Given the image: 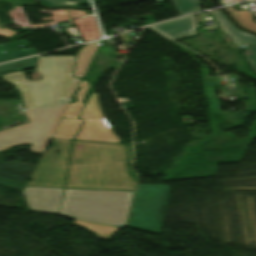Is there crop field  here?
Listing matches in <instances>:
<instances>
[{
	"instance_id": "11",
	"label": "crop field",
	"mask_w": 256,
	"mask_h": 256,
	"mask_svg": "<svg viewBox=\"0 0 256 256\" xmlns=\"http://www.w3.org/2000/svg\"><path fill=\"white\" fill-rule=\"evenodd\" d=\"M100 42L85 45L78 53L75 76L82 78Z\"/></svg>"
},
{
	"instance_id": "14",
	"label": "crop field",
	"mask_w": 256,
	"mask_h": 256,
	"mask_svg": "<svg viewBox=\"0 0 256 256\" xmlns=\"http://www.w3.org/2000/svg\"><path fill=\"white\" fill-rule=\"evenodd\" d=\"M76 225H82L87 229L96 232L100 238L108 240L111 235L120 227L102 225L74 219ZM97 235V236H98Z\"/></svg>"
},
{
	"instance_id": "21",
	"label": "crop field",
	"mask_w": 256,
	"mask_h": 256,
	"mask_svg": "<svg viewBox=\"0 0 256 256\" xmlns=\"http://www.w3.org/2000/svg\"><path fill=\"white\" fill-rule=\"evenodd\" d=\"M66 10L71 19L86 15L85 11H78V10H73V9H66Z\"/></svg>"
},
{
	"instance_id": "2",
	"label": "crop field",
	"mask_w": 256,
	"mask_h": 256,
	"mask_svg": "<svg viewBox=\"0 0 256 256\" xmlns=\"http://www.w3.org/2000/svg\"><path fill=\"white\" fill-rule=\"evenodd\" d=\"M75 56L39 57V81L26 80L23 72L3 75L21 92L25 108L72 98L81 79L72 77ZM23 102V103H24Z\"/></svg>"
},
{
	"instance_id": "13",
	"label": "crop field",
	"mask_w": 256,
	"mask_h": 256,
	"mask_svg": "<svg viewBox=\"0 0 256 256\" xmlns=\"http://www.w3.org/2000/svg\"><path fill=\"white\" fill-rule=\"evenodd\" d=\"M79 87H80V89H79L78 96H77L78 100L76 101V103H72V104L68 105L62 118L76 119L79 112L81 111V109L84 105L81 102L89 88V84H88V82L82 80Z\"/></svg>"
},
{
	"instance_id": "19",
	"label": "crop field",
	"mask_w": 256,
	"mask_h": 256,
	"mask_svg": "<svg viewBox=\"0 0 256 256\" xmlns=\"http://www.w3.org/2000/svg\"><path fill=\"white\" fill-rule=\"evenodd\" d=\"M244 56L246 57V59L250 63L254 72L256 73V47L255 46H247L244 50Z\"/></svg>"
},
{
	"instance_id": "9",
	"label": "crop field",
	"mask_w": 256,
	"mask_h": 256,
	"mask_svg": "<svg viewBox=\"0 0 256 256\" xmlns=\"http://www.w3.org/2000/svg\"><path fill=\"white\" fill-rule=\"evenodd\" d=\"M34 167L20 161L3 163L0 164V178L26 184Z\"/></svg>"
},
{
	"instance_id": "20",
	"label": "crop field",
	"mask_w": 256,
	"mask_h": 256,
	"mask_svg": "<svg viewBox=\"0 0 256 256\" xmlns=\"http://www.w3.org/2000/svg\"><path fill=\"white\" fill-rule=\"evenodd\" d=\"M0 185L5 186V187H9V188H13L15 190H22V191L25 188V186H23V185L7 182V181H3V180H0Z\"/></svg>"
},
{
	"instance_id": "3",
	"label": "crop field",
	"mask_w": 256,
	"mask_h": 256,
	"mask_svg": "<svg viewBox=\"0 0 256 256\" xmlns=\"http://www.w3.org/2000/svg\"><path fill=\"white\" fill-rule=\"evenodd\" d=\"M133 194L66 189L60 215L102 224L125 225Z\"/></svg>"
},
{
	"instance_id": "22",
	"label": "crop field",
	"mask_w": 256,
	"mask_h": 256,
	"mask_svg": "<svg viewBox=\"0 0 256 256\" xmlns=\"http://www.w3.org/2000/svg\"><path fill=\"white\" fill-rule=\"evenodd\" d=\"M233 1H237V0H220L221 4H225Z\"/></svg>"
},
{
	"instance_id": "4",
	"label": "crop field",
	"mask_w": 256,
	"mask_h": 256,
	"mask_svg": "<svg viewBox=\"0 0 256 256\" xmlns=\"http://www.w3.org/2000/svg\"><path fill=\"white\" fill-rule=\"evenodd\" d=\"M27 108L26 115L30 123L0 132V151L22 143H33L31 150L42 154L49 143L66 107ZM1 158V155H0Z\"/></svg>"
},
{
	"instance_id": "12",
	"label": "crop field",
	"mask_w": 256,
	"mask_h": 256,
	"mask_svg": "<svg viewBox=\"0 0 256 256\" xmlns=\"http://www.w3.org/2000/svg\"><path fill=\"white\" fill-rule=\"evenodd\" d=\"M82 121L62 119L53 138L73 139Z\"/></svg>"
},
{
	"instance_id": "5",
	"label": "crop field",
	"mask_w": 256,
	"mask_h": 256,
	"mask_svg": "<svg viewBox=\"0 0 256 256\" xmlns=\"http://www.w3.org/2000/svg\"><path fill=\"white\" fill-rule=\"evenodd\" d=\"M170 186L139 185L128 227L160 233Z\"/></svg>"
},
{
	"instance_id": "24",
	"label": "crop field",
	"mask_w": 256,
	"mask_h": 256,
	"mask_svg": "<svg viewBox=\"0 0 256 256\" xmlns=\"http://www.w3.org/2000/svg\"><path fill=\"white\" fill-rule=\"evenodd\" d=\"M256 1V0H255Z\"/></svg>"
},
{
	"instance_id": "6",
	"label": "crop field",
	"mask_w": 256,
	"mask_h": 256,
	"mask_svg": "<svg viewBox=\"0 0 256 256\" xmlns=\"http://www.w3.org/2000/svg\"><path fill=\"white\" fill-rule=\"evenodd\" d=\"M97 97L98 94L92 93L80 116L85 122L76 140L121 143L105 121Z\"/></svg>"
},
{
	"instance_id": "15",
	"label": "crop field",
	"mask_w": 256,
	"mask_h": 256,
	"mask_svg": "<svg viewBox=\"0 0 256 256\" xmlns=\"http://www.w3.org/2000/svg\"><path fill=\"white\" fill-rule=\"evenodd\" d=\"M226 9L242 27L256 32V24L254 23L252 14L249 10L236 11L233 6L227 7Z\"/></svg>"
},
{
	"instance_id": "10",
	"label": "crop field",
	"mask_w": 256,
	"mask_h": 256,
	"mask_svg": "<svg viewBox=\"0 0 256 256\" xmlns=\"http://www.w3.org/2000/svg\"><path fill=\"white\" fill-rule=\"evenodd\" d=\"M211 13L215 17L219 25L224 29V31L233 39V41L237 45H240V44L256 45V36L240 31L237 28H235L220 11H215Z\"/></svg>"
},
{
	"instance_id": "7",
	"label": "crop field",
	"mask_w": 256,
	"mask_h": 256,
	"mask_svg": "<svg viewBox=\"0 0 256 256\" xmlns=\"http://www.w3.org/2000/svg\"><path fill=\"white\" fill-rule=\"evenodd\" d=\"M28 208L38 212L59 213L62 189L26 187L23 192Z\"/></svg>"
},
{
	"instance_id": "18",
	"label": "crop field",
	"mask_w": 256,
	"mask_h": 256,
	"mask_svg": "<svg viewBox=\"0 0 256 256\" xmlns=\"http://www.w3.org/2000/svg\"><path fill=\"white\" fill-rule=\"evenodd\" d=\"M47 7L78 6L81 0H40Z\"/></svg>"
},
{
	"instance_id": "23",
	"label": "crop field",
	"mask_w": 256,
	"mask_h": 256,
	"mask_svg": "<svg viewBox=\"0 0 256 256\" xmlns=\"http://www.w3.org/2000/svg\"><path fill=\"white\" fill-rule=\"evenodd\" d=\"M1 160H2V159H0V163H3Z\"/></svg>"
},
{
	"instance_id": "16",
	"label": "crop field",
	"mask_w": 256,
	"mask_h": 256,
	"mask_svg": "<svg viewBox=\"0 0 256 256\" xmlns=\"http://www.w3.org/2000/svg\"><path fill=\"white\" fill-rule=\"evenodd\" d=\"M37 58L38 57H33V58L1 65L0 75L35 67L37 65Z\"/></svg>"
},
{
	"instance_id": "1",
	"label": "crop field",
	"mask_w": 256,
	"mask_h": 256,
	"mask_svg": "<svg viewBox=\"0 0 256 256\" xmlns=\"http://www.w3.org/2000/svg\"><path fill=\"white\" fill-rule=\"evenodd\" d=\"M71 141L53 139V146L41 156L26 185L62 188L69 167L65 188L134 191L136 182L126 166V146L74 141L67 166Z\"/></svg>"
},
{
	"instance_id": "17",
	"label": "crop field",
	"mask_w": 256,
	"mask_h": 256,
	"mask_svg": "<svg viewBox=\"0 0 256 256\" xmlns=\"http://www.w3.org/2000/svg\"><path fill=\"white\" fill-rule=\"evenodd\" d=\"M180 16L198 11L199 0H171Z\"/></svg>"
},
{
	"instance_id": "8",
	"label": "crop field",
	"mask_w": 256,
	"mask_h": 256,
	"mask_svg": "<svg viewBox=\"0 0 256 256\" xmlns=\"http://www.w3.org/2000/svg\"><path fill=\"white\" fill-rule=\"evenodd\" d=\"M195 26L196 20L194 15L149 27L168 36L171 39H177L195 35Z\"/></svg>"
}]
</instances>
